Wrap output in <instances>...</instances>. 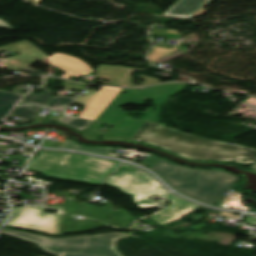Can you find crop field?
<instances>
[{
  "mask_svg": "<svg viewBox=\"0 0 256 256\" xmlns=\"http://www.w3.org/2000/svg\"><path fill=\"white\" fill-rule=\"evenodd\" d=\"M132 140L144 141L193 160L237 161L243 164L256 160V150L200 138L150 121L144 122Z\"/></svg>",
  "mask_w": 256,
  "mask_h": 256,
  "instance_id": "obj_1",
  "label": "crop field"
},
{
  "mask_svg": "<svg viewBox=\"0 0 256 256\" xmlns=\"http://www.w3.org/2000/svg\"><path fill=\"white\" fill-rule=\"evenodd\" d=\"M188 84L184 83H170L157 85L149 88L143 89H122L121 92L117 95V97L113 100V102L108 106V108L101 114V116L97 119L105 124L110 123L115 125L107 132L103 133L98 131L103 124H99L93 122L82 134L84 137L91 139H118L131 140L133 136L137 133L139 128L141 127L144 120H150L158 123V115H159V106L162 105L170 96L181 91ZM122 92H127L126 95H120ZM146 99H151L154 101L155 111H152L153 108H147L143 113L146 115L145 118L134 120L128 116V112L121 111L119 109L122 105H127L132 102L136 105H143ZM138 113V112H132Z\"/></svg>",
  "mask_w": 256,
  "mask_h": 256,
  "instance_id": "obj_2",
  "label": "crop field"
},
{
  "mask_svg": "<svg viewBox=\"0 0 256 256\" xmlns=\"http://www.w3.org/2000/svg\"><path fill=\"white\" fill-rule=\"evenodd\" d=\"M149 169L176 191L208 204H215L239 181L238 176L230 172L187 168L161 158Z\"/></svg>",
  "mask_w": 256,
  "mask_h": 256,
  "instance_id": "obj_3",
  "label": "crop field"
},
{
  "mask_svg": "<svg viewBox=\"0 0 256 256\" xmlns=\"http://www.w3.org/2000/svg\"><path fill=\"white\" fill-rule=\"evenodd\" d=\"M27 169L46 176L99 185L120 163L71 153L38 152Z\"/></svg>",
  "mask_w": 256,
  "mask_h": 256,
  "instance_id": "obj_4",
  "label": "crop field"
},
{
  "mask_svg": "<svg viewBox=\"0 0 256 256\" xmlns=\"http://www.w3.org/2000/svg\"><path fill=\"white\" fill-rule=\"evenodd\" d=\"M1 233L33 242L43 251L57 256H124L116 250L120 238L128 233H107L77 237L49 238L25 231L1 229Z\"/></svg>",
  "mask_w": 256,
  "mask_h": 256,
  "instance_id": "obj_5",
  "label": "crop field"
},
{
  "mask_svg": "<svg viewBox=\"0 0 256 256\" xmlns=\"http://www.w3.org/2000/svg\"><path fill=\"white\" fill-rule=\"evenodd\" d=\"M105 184L121 190V192L132 196L133 202L139 208H153L160 204L149 199L152 195L164 196L167 191L154 179L147 176L138 169L126 164L121 165Z\"/></svg>",
  "mask_w": 256,
  "mask_h": 256,
  "instance_id": "obj_6",
  "label": "crop field"
},
{
  "mask_svg": "<svg viewBox=\"0 0 256 256\" xmlns=\"http://www.w3.org/2000/svg\"><path fill=\"white\" fill-rule=\"evenodd\" d=\"M45 208L57 210V214L44 213ZM13 214L5 227L29 229L59 235L63 208L55 206L12 207Z\"/></svg>",
  "mask_w": 256,
  "mask_h": 256,
  "instance_id": "obj_7",
  "label": "crop field"
},
{
  "mask_svg": "<svg viewBox=\"0 0 256 256\" xmlns=\"http://www.w3.org/2000/svg\"><path fill=\"white\" fill-rule=\"evenodd\" d=\"M120 88L101 87L99 92L87 90L83 97L77 98L76 103L85 106L78 115L80 117L95 120L120 92Z\"/></svg>",
  "mask_w": 256,
  "mask_h": 256,
  "instance_id": "obj_8",
  "label": "crop field"
},
{
  "mask_svg": "<svg viewBox=\"0 0 256 256\" xmlns=\"http://www.w3.org/2000/svg\"><path fill=\"white\" fill-rule=\"evenodd\" d=\"M10 49L19 55L5 60V68L10 70H21L45 57L42 51L27 40L0 47V51ZM36 59H33V58ZM17 62H20L19 64Z\"/></svg>",
  "mask_w": 256,
  "mask_h": 256,
  "instance_id": "obj_9",
  "label": "crop field"
},
{
  "mask_svg": "<svg viewBox=\"0 0 256 256\" xmlns=\"http://www.w3.org/2000/svg\"><path fill=\"white\" fill-rule=\"evenodd\" d=\"M96 71L98 73L95 77L91 79L90 81L91 83H94L98 77H102V78H110L111 84L114 86H125V85H122V83H127L129 84V87H138L130 84V80L132 79L130 77L133 71L132 68H126L122 66L99 65ZM142 78L147 80V82H145V85L143 86L159 82V80L155 78H149L145 76H143Z\"/></svg>",
  "mask_w": 256,
  "mask_h": 256,
  "instance_id": "obj_10",
  "label": "crop field"
},
{
  "mask_svg": "<svg viewBox=\"0 0 256 256\" xmlns=\"http://www.w3.org/2000/svg\"><path fill=\"white\" fill-rule=\"evenodd\" d=\"M91 208H93L91 210ZM82 212V213H80ZM78 214L86 216V217H92L94 219H99L102 221H106L107 218L109 217V213H112L115 217H111L108 220H112V222H109L110 225L112 226H120V227H126L129 228V222L133 223L134 218L129 215L127 212L125 213L124 210L122 211H113L111 204H108L106 208L99 209L96 208L95 205H90L87 204ZM121 217H124L125 219H122Z\"/></svg>",
  "mask_w": 256,
  "mask_h": 256,
  "instance_id": "obj_11",
  "label": "crop field"
},
{
  "mask_svg": "<svg viewBox=\"0 0 256 256\" xmlns=\"http://www.w3.org/2000/svg\"><path fill=\"white\" fill-rule=\"evenodd\" d=\"M167 197L171 200L170 206L150 216V218H152L160 225L176 220L198 207L180 198H177L172 194L167 195Z\"/></svg>",
  "mask_w": 256,
  "mask_h": 256,
  "instance_id": "obj_12",
  "label": "crop field"
},
{
  "mask_svg": "<svg viewBox=\"0 0 256 256\" xmlns=\"http://www.w3.org/2000/svg\"><path fill=\"white\" fill-rule=\"evenodd\" d=\"M85 203L78 205L75 201H66L64 206V214L62 225L60 229V233H69V232H77V231H86L96 226L107 225L105 223H95L97 221L88 219L83 221H75L71 222L70 215H74L79 208Z\"/></svg>",
  "mask_w": 256,
  "mask_h": 256,
  "instance_id": "obj_13",
  "label": "crop field"
},
{
  "mask_svg": "<svg viewBox=\"0 0 256 256\" xmlns=\"http://www.w3.org/2000/svg\"><path fill=\"white\" fill-rule=\"evenodd\" d=\"M49 60L51 64L66 71V73L61 77H64L67 79L70 78V75L80 77L93 71V69L89 67L85 62L79 59H76L74 57L67 56L62 53L53 54L52 56L49 57ZM87 69H89L90 71L87 72L86 71Z\"/></svg>",
  "mask_w": 256,
  "mask_h": 256,
  "instance_id": "obj_14",
  "label": "crop field"
},
{
  "mask_svg": "<svg viewBox=\"0 0 256 256\" xmlns=\"http://www.w3.org/2000/svg\"><path fill=\"white\" fill-rule=\"evenodd\" d=\"M209 0H178L163 15L180 18H190Z\"/></svg>",
  "mask_w": 256,
  "mask_h": 256,
  "instance_id": "obj_15",
  "label": "crop field"
},
{
  "mask_svg": "<svg viewBox=\"0 0 256 256\" xmlns=\"http://www.w3.org/2000/svg\"><path fill=\"white\" fill-rule=\"evenodd\" d=\"M6 92L0 90V106L3 105V108L0 110V113L7 114L10 109L13 107L15 102L23 95V93L16 92Z\"/></svg>",
  "mask_w": 256,
  "mask_h": 256,
  "instance_id": "obj_16",
  "label": "crop field"
},
{
  "mask_svg": "<svg viewBox=\"0 0 256 256\" xmlns=\"http://www.w3.org/2000/svg\"><path fill=\"white\" fill-rule=\"evenodd\" d=\"M75 99L74 96H64L58 95L56 97H52L48 102L44 105L50 109L57 110L63 112L69 106V104Z\"/></svg>",
  "mask_w": 256,
  "mask_h": 256,
  "instance_id": "obj_17",
  "label": "crop field"
},
{
  "mask_svg": "<svg viewBox=\"0 0 256 256\" xmlns=\"http://www.w3.org/2000/svg\"><path fill=\"white\" fill-rule=\"evenodd\" d=\"M60 147H66V148H78L89 152H95V153H101L109 156L118 157L117 154L109 153L113 148H105V147H87V146H81L77 143L66 139Z\"/></svg>",
  "mask_w": 256,
  "mask_h": 256,
  "instance_id": "obj_18",
  "label": "crop field"
},
{
  "mask_svg": "<svg viewBox=\"0 0 256 256\" xmlns=\"http://www.w3.org/2000/svg\"><path fill=\"white\" fill-rule=\"evenodd\" d=\"M54 92L48 91V88H43V92L40 94H27L20 102L32 103L43 106L46 101L52 97Z\"/></svg>",
  "mask_w": 256,
  "mask_h": 256,
  "instance_id": "obj_19",
  "label": "crop field"
},
{
  "mask_svg": "<svg viewBox=\"0 0 256 256\" xmlns=\"http://www.w3.org/2000/svg\"><path fill=\"white\" fill-rule=\"evenodd\" d=\"M58 122H61L79 131H82L84 128H87L92 123L91 121L70 117L65 114L62 115Z\"/></svg>",
  "mask_w": 256,
  "mask_h": 256,
  "instance_id": "obj_20",
  "label": "crop field"
},
{
  "mask_svg": "<svg viewBox=\"0 0 256 256\" xmlns=\"http://www.w3.org/2000/svg\"><path fill=\"white\" fill-rule=\"evenodd\" d=\"M32 107L34 108L31 109ZM41 108L42 107L30 106V105L18 106V107H15L14 111L11 114L32 119L39 112Z\"/></svg>",
  "mask_w": 256,
  "mask_h": 256,
  "instance_id": "obj_21",
  "label": "crop field"
},
{
  "mask_svg": "<svg viewBox=\"0 0 256 256\" xmlns=\"http://www.w3.org/2000/svg\"><path fill=\"white\" fill-rule=\"evenodd\" d=\"M177 48H180V47H173L171 50L164 49L161 47H154V49L148 54V58L152 62L160 57L171 55ZM180 49H183V48H180Z\"/></svg>",
  "mask_w": 256,
  "mask_h": 256,
  "instance_id": "obj_22",
  "label": "crop field"
},
{
  "mask_svg": "<svg viewBox=\"0 0 256 256\" xmlns=\"http://www.w3.org/2000/svg\"><path fill=\"white\" fill-rule=\"evenodd\" d=\"M61 86L65 87V90H84L86 84H79L75 82L65 81Z\"/></svg>",
  "mask_w": 256,
  "mask_h": 256,
  "instance_id": "obj_23",
  "label": "crop field"
},
{
  "mask_svg": "<svg viewBox=\"0 0 256 256\" xmlns=\"http://www.w3.org/2000/svg\"><path fill=\"white\" fill-rule=\"evenodd\" d=\"M245 220H246V222L249 223V224L256 225V217L248 216V217H246Z\"/></svg>",
  "mask_w": 256,
  "mask_h": 256,
  "instance_id": "obj_24",
  "label": "crop field"
},
{
  "mask_svg": "<svg viewBox=\"0 0 256 256\" xmlns=\"http://www.w3.org/2000/svg\"><path fill=\"white\" fill-rule=\"evenodd\" d=\"M0 27H5V28H11L13 29L9 24H7L3 19H0Z\"/></svg>",
  "mask_w": 256,
  "mask_h": 256,
  "instance_id": "obj_25",
  "label": "crop field"
},
{
  "mask_svg": "<svg viewBox=\"0 0 256 256\" xmlns=\"http://www.w3.org/2000/svg\"><path fill=\"white\" fill-rule=\"evenodd\" d=\"M203 13H205V10L201 9L194 17H198V16H200Z\"/></svg>",
  "mask_w": 256,
  "mask_h": 256,
  "instance_id": "obj_26",
  "label": "crop field"
},
{
  "mask_svg": "<svg viewBox=\"0 0 256 256\" xmlns=\"http://www.w3.org/2000/svg\"><path fill=\"white\" fill-rule=\"evenodd\" d=\"M10 116H12V115H10ZM14 117H16V116H14ZM18 118H20V117H18ZM22 120H21V122L20 123H24V122H29L30 120L29 119H25V118H21Z\"/></svg>",
  "mask_w": 256,
  "mask_h": 256,
  "instance_id": "obj_27",
  "label": "crop field"
},
{
  "mask_svg": "<svg viewBox=\"0 0 256 256\" xmlns=\"http://www.w3.org/2000/svg\"><path fill=\"white\" fill-rule=\"evenodd\" d=\"M251 168H253L254 170H256V162H255L253 165H251Z\"/></svg>",
  "mask_w": 256,
  "mask_h": 256,
  "instance_id": "obj_28",
  "label": "crop field"
},
{
  "mask_svg": "<svg viewBox=\"0 0 256 256\" xmlns=\"http://www.w3.org/2000/svg\"><path fill=\"white\" fill-rule=\"evenodd\" d=\"M4 116H5L4 114H0V120H1Z\"/></svg>",
  "mask_w": 256,
  "mask_h": 256,
  "instance_id": "obj_29",
  "label": "crop field"
}]
</instances>
